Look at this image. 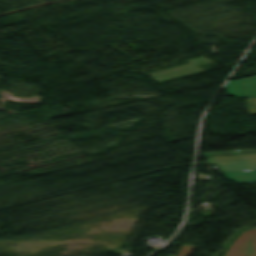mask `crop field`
<instances>
[{
    "mask_svg": "<svg viewBox=\"0 0 256 256\" xmlns=\"http://www.w3.org/2000/svg\"><path fill=\"white\" fill-rule=\"evenodd\" d=\"M194 248L195 246L183 245L182 249L178 253V256H188ZM168 256H172V255H168Z\"/></svg>",
    "mask_w": 256,
    "mask_h": 256,
    "instance_id": "obj_7",
    "label": "crop field"
},
{
    "mask_svg": "<svg viewBox=\"0 0 256 256\" xmlns=\"http://www.w3.org/2000/svg\"><path fill=\"white\" fill-rule=\"evenodd\" d=\"M256 152V150H240V151H224V152H212V153H203L204 156H211V155H224V154H237V153H250Z\"/></svg>",
    "mask_w": 256,
    "mask_h": 256,
    "instance_id": "obj_5",
    "label": "crop field"
},
{
    "mask_svg": "<svg viewBox=\"0 0 256 256\" xmlns=\"http://www.w3.org/2000/svg\"><path fill=\"white\" fill-rule=\"evenodd\" d=\"M227 93L234 97H256V76L227 82Z\"/></svg>",
    "mask_w": 256,
    "mask_h": 256,
    "instance_id": "obj_4",
    "label": "crop field"
},
{
    "mask_svg": "<svg viewBox=\"0 0 256 256\" xmlns=\"http://www.w3.org/2000/svg\"><path fill=\"white\" fill-rule=\"evenodd\" d=\"M225 256H256V229L240 234Z\"/></svg>",
    "mask_w": 256,
    "mask_h": 256,
    "instance_id": "obj_3",
    "label": "crop field"
},
{
    "mask_svg": "<svg viewBox=\"0 0 256 256\" xmlns=\"http://www.w3.org/2000/svg\"><path fill=\"white\" fill-rule=\"evenodd\" d=\"M210 165H218L221 171L256 168V153L205 157Z\"/></svg>",
    "mask_w": 256,
    "mask_h": 256,
    "instance_id": "obj_1",
    "label": "crop field"
},
{
    "mask_svg": "<svg viewBox=\"0 0 256 256\" xmlns=\"http://www.w3.org/2000/svg\"><path fill=\"white\" fill-rule=\"evenodd\" d=\"M249 114H256V98H246Z\"/></svg>",
    "mask_w": 256,
    "mask_h": 256,
    "instance_id": "obj_6",
    "label": "crop field"
},
{
    "mask_svg": "<svg viewBox=\"0 0 256 256\" xmlns=\"http://www.w3.org/2000/svg\"><path fill=\"white\" fill-rule=\"evenodd\" d=\"M187 61L190 63L180 65L177 67H173V68H169L166 70L150 73V75L153 76V79H155L159 82H162V81H166V80L179 78V77L195 74L198 72L206 71L196 65L210 62V60H208L207 58H205L203 56L197 57V58H194L191 60H187Z\"/></svg>",
    "mask_w": 256,
    "mask_h": 256,
    "instance_id": "obj_2",
    "label": "crop field"
}]
</instances>
